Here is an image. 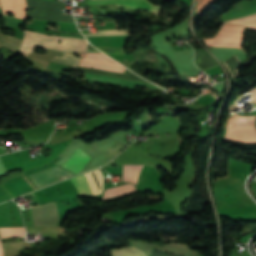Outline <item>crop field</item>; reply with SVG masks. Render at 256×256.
<instances>
[{"mask_svg": "<svg viewBox=\"0 0 256 256\" xmlns=\"http://www.w3.org/2000/svg\"><path fill=\"white\" fill-rule=\"evenodd\" d=\"M28 6L27 18L71 22L74 23L72 15H61L62 5L53 4L47 0H26ZM30 8H34L30 10Z\"/></svg>", "mask_w": 256, "mask_h": 256, "instance_id": "34b2d1b8", "label": "crop field"}, {"mask_svg": "<svg viewBox=\"0 0 256 256\" xmlns=\"http://www.w3.org/2000/svg\"><path fill=\"white\" fill-rule=\"evenodd\" d=\"M34 225H56L59 220L55 203L41 207H31Z\"/></svg>", "mask_w": 256, "mask_h": 256, "instance_id": "f4fd0767", "label": "crop field"}, {"mask_svg": "<svg viewBox=\"0 0 256 256\" xmlns=\"http://www.w3.org/2000/svg\"><path fill=\"white\" fill-rule=\"evenodd\" d=\"M225 139L256 143L254 123L228 122Z\"/></svg>", "mask_w": 256, "mask_h": 256, "instance_id": "412701ff", "label": "crop field"}, {"mask_svg": "<svg viewBox=\"0 0 256 256\" xmlns=\"http://www.w3.org/2000/svg\"><path fill=\"white\" fill-rule=\"evenodd\" d=\"M81 66H86V67H93V68H99L103 70H108V71H114V72H120L123 73L125 68L121 67H108V66H101V65H95V64H89V63H80Z\"/></svg>", "mask_w": 256, "mask_h": 256, "instance_id": "d9b57169", "label": "crop field"}, {"mask_svg": "<svg viewBox=\"0 0 256 256\" xmlns=\"http://www.w3.org/2000/svg\"><path fill=\"white\" fill-rule=\"evenodd\" d=\"M52 60L57 62H64L75 68V66L80 61V58H75L72 54L64 53L62 57L55 56Z\"/></svg>", "mask_w": 256, "mask_h": 256, "instance_id": "cbeb9de0", "label": "crop field"}, {"mask_svg": "<svg viewBox=\"0 0 256 256\" xmlns=\"http://www.w3.org/2000/svg\"><path fill=\"white\" fill-rule=\"evenodd\" d=\"M0 5L3 14L12 13L14 16L26 20L27 6L25 0H0Z\"/></svg>", "mask_w": 256, "mask_h": 256, "instance_id": "d8731c3e", "label": "crop field"}, {"mask_svg": "<svg viewBox=\"0 0 256 256\" xmlns=\"http://www.w3.org/2000/svg\"><path fill=\"white\" fill-rule=\"evenodd\" d=\"M87 52H98L97 50H95L91 45H87Z\"/></svg>", "mask_w": 256, "mask_h": 256, "instance_id": "92a150f3", "label": "crop field"}, {"mask_svg": "<svg viewBox=\"0 0 256 256\" xmlns=\"http://www.w3.org/2000/svg\"><path fill=\"white\" fill-rule=\"evenodd\" d=\"M138 1L147 2L146 0H138ZM138 1H132V0H95V1H87V3L88 4L116 3L117 5H120V6H126V7H130V8H134V9H138V10H142V11L161 14L162 7L152 5V4H148V3L138 2Z\"/></svg>", "mask_w": 256, "mask_h": 256, "instance_id": "e52e79f7", "label": "crop field"}, {"mask_svg": "<svg viewBox=\"0 0 256 256\" xmlns=\"http://www.w3.org/2000/svg\"><path fill=\"white\" fill-rule=\"evenodd\" d=\"M111 256H147L137 247L119 248L110 250Z\"/></svg>", "mask_w": 256, "mask_h": 256, "instance_id": "28ad6ade", "label": "crop field"}, {"mask_svg": "<svg viewBox=\"0 0 256 256\" xmlns=\"http://www.w3.org/2000/svg\"><path fill=\"white\" fill-rule=\"evenodd\" d=\"M82 61L90 62V63H96V64H101V65H108V66H121V65H119L116 62H110V61L98 60V59L84 58Z\"/></svg>", "mask_w": 256, "mask_h": 256, "instance_id": "733c2abd", "label": "crop field"}, {"mask_svg": "<svg viewBox=\"0 0 256 256\" xmlns=\"http://www.w3.org/2000/svg\"><path fill=\"white\" fill-rule=\"evenodd\" d=\"M100 50L107 52V53H113V54H124V49L119 48H108V47H97Z\"/></svg>", "mask_w": 256, "mask_h": 256, "instance_id": "4a817a6b", "label": "crop field"}, {"mask_svg": "<svg viewBox=\"0 0 256 256\" xmlns=\"http://www.w3.org/2000/svg\"><path fill=\"white\" fill-rule=\"evenodd\" d=\"M71 182L77 188L79 194H90L93 195L89 184L86 180L85 175L78 176L76 178L71 179Z\"/></svg>", "mask_w": 256, "mask_h": 256, "instance_id": "d1516ede", "label": "crop field"}, {"mask_svg": "<svg viewBox=\"0 0 256 256\" xmlns=\"http://www.w3.org/2000/svg\"><path fill=\"white\" fill-rule=\"evenodd\" d=\"M13 236H24V227L0 228V238Z\"/></svg>", "mask_w": 256, "mask_h": 256, "instance_id": "22f410ed", "label": "crop field"}, {"mask_svg": "<svg viewBox=\"0 0 256 256\" xmlns=\"http://www.w3.org/2000/svg\"><path fill=\"white\" fill-rule=\"evenodd\" d=\"M227 23L239 24L248 27H256V14L245 18L228 21Z\"/></svg>", "mask_w": 256, "mask_h": 256, "instance_id": "5142ce71", "label": "crop field"}, {"mask_svg": "<svg viewBox=\"0 0 256 256\" xmlns=\"http://www.w3.org/2000/svg\"><path fill=\"white\" fill-rule=\"evenodd\" d=\"M77 69L83 70L87 74L112 77V78H117V79L132 81V82H138V83L151 84V83L143 80L142 78L136 76L129 70H126L124 74H120V73L108 72V71L92 69V68H85V67H80V66H78ZM87 74H85V77H83V79L87 80V81H91V82L118 85V86H123V87H127V88H132V89H134L136 84H138V83H132V82H127V81L112 79V78L92 76V75H87ZM138 85L162 90V89L158 88L157 86H153V85H145V84H138Z\"/></svg>", "mask_w": 256, "mask_h": 256, "instance_id": "ac0d7876", "label": "crop field"}, {"mask_svg": "<svg viewBox=\"0 0 256 256\" xmlns=\"http://www.w3.org/2000/svg\"><path fill=\"white\" fill-rule=\"evenodd\" d=\"M90 158L84 151L77 148L74 155L62 167L77 174Z\"/></svg>", "mask_w": 256, "mask_h": 256, "instance_id": "5a996713", "label": "crop field"}, {"mask_svg": "<svg viewBox=\"0 0 256 256\" xmlns=\"http://www.w3.org/2000/svg\"><path fill=\"white\" fill-rule=\"evenodd\" d=\"M62 39L61 45L58 41ZM86 39L50 36L25 30L20 52L26 57L33 47L49 48L63 52L84 51Z\"/></svg>", "mask_w": 256, "mask_h": 256, "instance_id": "8a807250", "label": "crop field"}, {"mask_svg": "<svg viewBox=\"0 0 256 256\" xmlns=\"http://www.w3.org/2000/svg\"><path fill=\"white\" fill-rule=\"evenodd\" d=\"M86 56V55H85ZM86 57H90V58H98V59H105V60H110L112 61L111 59H109L107 56H105L104 54L102 53H87V56Z\"/></svg>", "mask_w": 256, "mask_h": 256, "instance_id": "bc2a9ffb", "label": "crop field"}, {"mask_svg": "<svg viewBox=\"0 0 256 256\" xmlns=\"http://www.w3.org/2000/svg\"><path fill=\"white\" fill-rule=\"evenodd\" d=\"M244 29L245 27L224 24L215 37L235 39L241 41Z\"/></svg>", "mask_w": 256, "mask_h": 256, "instance_id": "3316defc", "label": "crop field"}, {"mask_svg": "<svg viewBox=\"0 0 256 256\" xmlns=\"http://www.w3.org/2000/svg\"><path fill=\"white\" fill-rule=\"evenodd\" d=\"M256 89V88H255ZM249 98H254V97H256V90H254V91H252V92H250V93H248V94H246ZM255 99V98H254ZM253 100V99H252ZM254 102H256V99L255 100H253Z\"/></svg>", "mask_w": 256, "mask_h": 256, "instance_id": "214f88e0", "label": "crop field"}, {"mask_svg": "<svg viewBox=\"0 0 256 256\" xmlns=\"http://www.w3.org/2000/svg\"><path fill=\"white\" fill-rule=\"evenodd\" d=\"M70 175H73V174L59 167H54L49 170L30 175V177L34 181V183L37 185V187L40 188L45 185L64 179Z\"/></svg>", "mask_w": 256, "mask_h": 256, "instance_id": "dd49c442", "label": "crop field"}]
</instances>
